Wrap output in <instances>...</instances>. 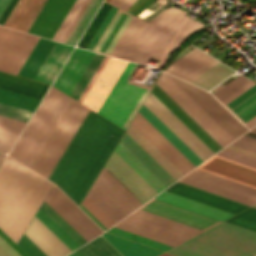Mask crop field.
Wrapping results in <instances>:
<instances>
[{"instance_id": "8a807250", "label": "crop field", "mask_w": 256, "mask_h": 256, "mask_svg": "<svg viewBox=\"0 0 256 256\" xmlns=\"http://www.w3.org/2000/svg\"><path fill=\"white\" fill-rule=\"evenodd\" d=\"M123 132L89 110L47 179L79 205Z\"/></svg>"}, {"instance_id": "ac0d7876", "label": "crop field", "mask_w": 256, "mask_h": 256, "mask_svg": "<svg viewBox=\"0 0 256 256\" xmlns=\"http://www.w3.org/2000/svg\"><path fill=\"white\" fill-rule=\"evenodd\" d=\"M41 176L11 157L0 168V228L6 233ZM53 183L42 178L27 199L7 231L15 242L19 240Z\"/></svg>"}, {"instance_id": "34b2d1b8", "label": "crop field", "mask_w": 256, "mask_h": 256, "mask_svg": "<svg viewBox=\"0 0 256 256\" xmlns=\"http://www.w3.org/2000/svg\"><path fill=\"white\" fill-rule=\"evenodd\" d=\"M256 251V233L222 222L167 251L177 256H243Z\"/></svg>"}, {"instance_id": "412701ff", "label": "crop field", "mask_w": 256, "mask_h": 256, "mask_svg": "<svg viewBox=\"0 0 256 256\" xmlns=\"http://www.w3.org/2000/svg\"><path fill=\"white\" fill-rule=\"evenodd\" d=\"M52 87L9 154L28 167L71 99Z\"/></svg>"}, {"instance_id": "f4fd0767", "label": "crop field", "mask_w": 256, "mask_h": 256, "mask_svg": "<svg viewBox=\"0 0 256 256\" xmlns=\"http://www.w3.org/2000/svg\"><path fill=\"white\" fill-rule=\"evenodd\" d=\"M136 67L137 64L128 62L97 112L124 130L151 89L128 81Z\"/></svg>"}, {"instance_id": "dd49c442", "label": "crop field", "mask_w": 256, "mask_h": 256, "mask_svg": "<svg viewBox=\"0 0 256 256\" xmlns=\"http://www.w3.org/2000/svg\"><path fill=\"white\" fill-rule=\"evenodd\" d=\"M88 110L71 99L29 168L47 178Z\"/></svg>"}, {"instance_id": "e52e79f7", "label": "crop field", "mask_w": 256, "mask_h": 256, "mask_svg": "<svg viewBox=\"0 0 256 256\" xmlns=\"http://www.w3.org/2000/svg\"><path fill=\"white\" fill-rule=\"evenodd\" d=\"M87 196L115 223L142 205L104 167Z\"/></svg>"}, {"instance_id": "d8731c3e", "label": "crop field", "mask_w": 256, "mask_h": 256, "mask_svg": "<svg viewBox=\"0 0 256 256\" xmlns=\"http://www.w3.org/2000/svg\"><path fill=\"white\" fill-rule=\"evenodd\" d=\"M179 181L248 205L256 203V188L198 168Z\"/></svg>"}, {"instance_id": "5a996713", "label": "crop field", "mask_w": 256, "mask_h": 256, "mask_svg": "<svg viewBox=\"0 0 256 256\" xmlns=\"http://www.w3.org/2000/svg\"><path fill=\"white\" fill-rule=\"evenodd\" d=\"M156 84L222 147L234 140L164 72Z\"/></svg>"}, {"instance_id": "3316defc", "label": "crop field", "mask_w": 256, "mask_h": 256, "mask_svg": "<svg viewBox=\"0 0 256 256\" xmlns=\"http://www.w3.org/2000/svg\"><path fill=\"white\" fill-rule=\"evenodd\" d=\"M167 74V73H166ZM234 139L247 129L209 92L167 74Z\"/></svg>"}, {"instance_id": "28ad6ade", "label": "crop field", "mask_w": 256, "mask_h": 256, "mask_svg": "<svg viewBox=\"0 0 256 256\" xmlns=\"http://www.w3.org/2000/svg\"><path fill=\"white\" fill-rule=\"evenodd\" d=\"M44 201L87 241L103 233V231L55 185H53Z\"/></svg>"}, {"instance_id": "d1516ede", "label": "crop field", "mask_w": 256, "mask_h": 256, "mask_svg": "<svg viewBox=\"0 0 256 256\" xmlns=\"http://www.w3.org/2000/svg\"><path fill=\"white\" fill-rule=\"evenodd\" d=\"M158 117L186 146L202 161L214 154L198 139L168 108H166L151 92L143 103Z\"/></svg>"}, {"instance_id": "22f410ed", "label": "crop field", "mask_w": 256, "mask_h": 256, "mask_svg": "<svg viewBox=\"0 0 256 256\" xmlns=\"http://www.w3.org/2000/svg\"><path fill=\"white\" fill-rule=\"evenodd\" d=\"M122 221L181 242L202 231L140 209L136 210Z\"/></svg>"}, {"instance_id": "cbeb9de0", "label": "crop field", "mask_w": 256, "mask_h": 256, "mask_svg": "<svg viewBox=\"0 0 256 256\" xmlns=\"http://www.w3.org/2000/svg\"><path fill=\"white\" fill-rule=\"evenodd\" d=\"M126 64L127 61L109 57L81 103L97 112Z\"/></svg>"}, {"instance_id": "5142ce71", "label": "crop field", "mask_w": 256, "mask_h": 256, "mask_svg": "<svg viewBox=\"0 0 256 256\" xmlns=\"http://www.w3.org/2000/svg\"><path fill=\"white\" fill-rule=\"evenodd\" d=\"M75 0H47L28 33L52 39Z\"/></svg>"}, {"instance_id": "d9b57169", "label": "crop field", "mask_w": 256, "mask_h": 256, "mask_svg": "<svg viewBox=\"0 0 256 256\" xmlns=\"http://www.w3.org/2000/svg\"><path fill=\"white\" fill-rule=\"evenodd\" d=\"M131 124L138 131H140L156 148H158L184 174L187 173L189 170H191L193 167H195L138 112L135 115L134 119L132 120Z\"/></svg>"}, {"instance_id": "733c2abd", "label": "crop field", "mask_w": 256, "mask_h": 256, "mask_svg": "<svg viewBox=\"0 0 256 256\" xmlns=\"http://www.w3.org/2000/svg\"><path fill=\"white\" fill-rule=\"evenodd\" d=\"M104 167L143 203L157 194L114 151Z\"/></svg>"}, {"instance_id": "4a817a6b", "label": "crop field", "mask_w": 256, "mask_h": 256, "mask_svg": "<svg viewBox=\"0 0 256 256\" xmlns=\"http://www.w3.org/2000/svg\"><path fill=\"white\" fill-rule=\"evenodd\" d=\"M140 209L170 218L172 220L205 230L220 221L197 214L195 212L180 208L178 206L163 202L158 199H151Z\"/></svg>"}, {"instance_id": "bc2a9ffb", "label": "crop field", "mask_w": 256, "mask_h": 256, "mask_svg": "<svg viewBox=\"0 0 256 256\" xmlns=\"http://www.w3.org/2000/svg\"><path fill=\"white\" fill-rule=\"evenodd\" d=\"M93 55L94 52L76 47L53 86L70 95Z\"/></svg>"}, {"instance_id": "214f88e0", "label": "crop field", "mask_w": 256, "mask_h": 256, "mask_svg": "<svg viewBox=\"0 0 256 256\" xmlns=\"http://www.w3.org/2000/svg\"><path fill=\"white\" fill-rule=\"evenodd\" d=\"M198 168L256 187V169L216 155L205 161Z\"/></svg>"}, {"instance_id": "92a150f3", "label": "crop field", "mask_w": 256, "mask_h": 256, "mask_svg": "<svg viewBox=\"0 0 256 256\" xmlns=\"http://www.w3.org/2000/svg\"><path fill=\"white\" fill-rule=\"evenodd\" d=\"M24 234L47 256H64L71 252L35 216Z\"/></svg>"}, {"instance_id": "dafd665d", "label": "crop field", "mask_w": 256, "mask_h": 256, "mask_svg": "<svg viewBox=\"0 0 256 256\" xmlns=\"http://www.w3.org/2000/svg\"><path fill=\"white\" fill-rule=\"evenodd\" d=\"M166 190L209 204L211 206L226 210L234 214L247 208V206H244L245 204L241 205L242 203L239 204V203L224 199L222 197L204 192L202 190L187 186L179 182L173 183Z\"/></svg>"}, {"instance_id": "00972430", "label": "crop field", "mask_w": 256, "mask_h": 256, "mask_svg": "<svg viewBox=\"0 0 256 256\" xmlns=\"http://www.w3.org/2000/svg\"><path fill=\"white\" fill-rule=\"evenodd\" d=\"M167 106L197 137H199L214 153L222 147L210 137L190 116H188L168 95L156 84L151 91Z\"/></svg>"}, {"instance_id": "a9b5d70f", "label": "crop field", "mask_w": 256, "mask_h": 256, "mask_svg": "<svg viewBox=\"0 0 256 256\" xmlns=\"http://www.w3.org/2000/svg\"><path fill=\"white\" fill-rule=\"evenodd\" d=\"M131 18L132 15L118 9L104 34L95 46L94 51L110 55Z\"/></svg>"}, {"instance_id": "4177f3b9", "label": "crop field", "mask_w": 256, "mask_h": 256, "mask_svg": "<svg viewBox=\"0 0 256 256\" xmlns=\"http://www.w3.org/2000/svg\"><path fill=\"white\" fill-rule=\"evenodd\" d=\"M155 198H158L163 201L178 205L180 207L195 211L197 213L212 217L220 221H223L234 215L226 211L211 207L209 205L191 200L189 198L174 194L166 190L162 191Z\"/></svg>"}, {"instance_id": "730fd06b", "label": "crop field", "mask_w": 256, "mask_h": 256, "mask_svg": "<svg viewBox=\"0 0 256 256\" xmlns=\"http://www.w3.org/2000/svg\"><path fill=\"white\" fill-rule=\"evenodd\" d=\"M131 152L153 175H155L166 187L175 180L162 169L139 145H137L126 133L119 141Z\"/></svg>"}, {"instance_id": "eef30255", "label": "crop field", "mask_w": 256, "mask_h": 256, "mask_svg": "<svg viewBox=\"0 0 256 256\" xmlns=\"http://www.w3.org/2000/svg\"><path fill=\"white\" fill-rule=\"evenodd\" d=\"M71 49L72 46L56 42L35 79L51 84Z\"/></svg>"}, {"instance_id": "ae1a2a85", "label": "crop field", "mask_w": 256, "mask_h": 256, "mask_svg": "<svg viewBox=\"0 0 256 256\" xmlns=\"http://www.w3.org/2000/svg\"><path fill=\"white\" fill-rule=\"evenodd\" d=\"M243 124L256 116V84L224 105Z\"/></svg>"}, {"instance_id": "d3111659", "label": "crop field", "mask_w": 256, "mask_h": 256, "mask_svg": "<svg viewBox=\"0 0 256 256\" xmlns=\"http://www.w3.org/2000/svg\"><path fill=\"white\" fill-rule=\"evenodd\" d=\"M0 88L42 99L48 85L0 72Z\"/></svg>"}, {"instance_id": "750c4746", "label": "crop field", "mask_w": 256, "mask_h": 256, "mask_svg": "<svg viewBox=\"0 0 256 256\" xmlns=\"http://www.w3.org/2000/svg\"><path fill=\"white\" fill-rule=\"evenodd\" d=\"M54 44L55 41L40 37L32 52L18 72V75L34 79Z\"/></svg>"}, {"instance_id": "bd1437ed", "label": "crop field", "mask_w": 256, "mask_h": 256, "mask_svg": "<svg viewBox=\"0 0 256 256\" xmlns=\"http://www.w3.org/2000/svg\"><path fill=\"white\" fill-rule=\"evenodd\" d=\"M165 138H167L185 157L195 166L202 162L189 148H187L159 119H157L143 104L138 111Z\"/></svg>"}, {"instance_id": "1d83c4d3", "label": "crop field", "mask_w": 256, "mask_h": 256, "mask_svg": "<svg viewBox=\"0 0 256 256\" xmlns=\"http://www.w3.org/2000/svg\"><path fill=\"white\" fill-rule=\"evenodd\" d=\"M102 236L124 256H156L162 252L107 233Z\"/></svg>"}, {"instance_id": "120bbe31", "label": "crop field", "mask_w": 256, "mask_h": 256, "mask_svg": "<svg viewBox=\"0 0 256 256\" xmlns=\"http://www.w3.org/2000/svg\"><path fill=\"white\" fill-rule=\"evenodd\" d=\"M134 171H136L157 193L166 188L120 143L114 150Z\"/></svg>"}, {"instance_id": "d32e631a", "label": "crop field", "mask_w": 256, "mask_h": 256, "mask_svg": "<svg viewBox=\"0 0 256 256\" xmlns=\"http://www.w3.org/2000/svg\"><path fill=\"white\" fill-rule=\"evenodd\" d=\"M138 143H140L163 167L176 179L184 175L159 150H157L141 133L131 124L126 130Z\"/></svg>"}, {"instance_id": "5866460e", "label": "crop field", "mask_w": 256, "mask_h": 256, "mask_svg": "<svg viewBox=\"0 0 256 256\" xmlns=\"http://www.w3.org/2000/svg\"><path fill=\"white\" fill-rule=\"evenodd\" d=\"M233 72H235V70L219 62L205 73L197 77L191 83L209 90L223 79L231 75Z\"/></svg>"}, {"instance_id": "028f5c9d", "label": "crop field", "mask_w": 256, "mask_h": 256, "mask_svg": "<svg viewBox=\"0 0 256 256\" xmlns=\"http://www.w3.org/2000/svg\"><path fill=\"white\" fill-rule=\"evenodd\" d=\"M101 2L102 0H90L82 15L80 16L72 31L68 35L67 39L65 40V43H69L72 45H75L77 43Z\"/></svg>"}, {"instance_id": "e1f06a70", "label": "crop field", "mask_w": 256, "mask_h": 256, "mask_svg": "<svg viewBox=\"0 0 256 256\" xmlns=\"http://www.w3.org/2000/svg\"><path fill=\"white\" fill-rule=\"evenodd\" d=\"M40 99L0 89V103L34 112Z\"/></svg>"}, {"instance_id": "0bd39190", "label": "crop field", "mask_w": 256, "mask_h": 256, "mask_svg": "<svg viewBox=\"0 0 256 256\" xmlns=\"http://www.w3.org/2000/svg\"><path fill=\"white\" fill-rule=\"evenodd\" d=\"M79 249L86 256H122L101 235Z\"/></svg>"}, {"instance_id": "b80d0937", "label": "crop field", "mask_w": 256, "mask_h": 256, "mask_svg": "<svg viewBox=\"0 0 256 256\" xmlns=\"http://www.w3.org/2000/svg\"><path fill=\"white\" fill-rule=\"evenodd\" d=\"M110 8L111 5L103 2L102 6L98 10L97 14L95 15L94 19L92 20L91 24L87 28L86 32L84 33L83 37L81 38L77 46L86 48L87 44L95 34L96 30L100 26L101 22L105 18Z\"/></svg>"}, {"instance_id": "c035e120", "label": "crop field", "mask_w": 256, "mask_h": 256, "mask_svg": "<svg viewBox=\"0 0 256 256\" xmlns=\"http://www.w3.org/2000/svg\"><path fill=\"white\" fill-rule=\"evenodd\" d=\"M72 251L79 247L61 228H59L40 208L35 215Z\"/></svg>"}, {"instance_id": "c21b1889", "label": "crop field", "mask_w": 256, "mask_h": 256, "mask_svg": "<svg viewBox=\"0 0 256 256\" xmlns=\"http://www.w3.org/2000/svg\"><path fill=\"white\" fill-rule=\"evenodd\" d=\"M49 217H51L69 236H71L80 246L87 242L79 235L67 222H65L52 208L44 201L40 207Z\"/></svg>"}, {"instance_id": "03da06ac", "label": "crop field", "mask_w": 256, "mask_h": 256, "mask_svg": "<svg viewBox=\"0 0 256 256\" xmlns=\"http://www.w3.org/2000/svg\"><path fill=\"white\" fill-rule=\"evenodd\" d=\"M103 57H104L103 54L95 53L94 57L92 58L91 62L89 63L88 67L86 68L85 72L81 76L80 80L78 81L77 85L75 86L70 96H72L74 99L77 100L80 93L84 89L85 85L89 81L90 77L96 70L97 66L99 65Z\"/></svg>"}, {"instance_id": "b54c1fbb", "label": "crop field", "mask_w": 256, "mask_h": 256, "mask_svg": "<svg viewBox=\"0 0 256 256\" xmlns=\"http://www.w3.org/2000/svg\"><path fill=\"white\" fill-rule=\"evenodd\" d=\"M114 227L129 231V232L141 235V236H145V237H148V238H151V239H154V240H157V241H160V242L172 245V246H175V245L181 243V242L175 241L173 239L161 236L159 234L144 230L142 228L130 225V224L122 222V221L118 222L116 225H114Z\"/></svg>"}, {"instance_id": "5d738f31", "label": "crop field", "mask_w": 256, "mask_h": 256, "mask_svg": "<svg viewBox=\"0 0 256 256\" xmlns=\"http://www.w3.org/2000/svg\"><path fill=\"white\" fill-rule=\"evenodd\" d=\"M225 222L256 232V208L251 207L250 209L226 220Z\"/></svg>"}, {"instance_id": "d23c7cc5", "label": "crop field", "mask_w": 256, "mask_h": 256, "mask_svg": "<svg viewBox=\"0 0 256 256\" xmlns=\"http://www.w3.org/2000/svg\"><path fill=\"white\" fill-rule=\"evenodd\" d=\"M108 232L114 233L116 235L134 240L136 242H139V243L151 246V247H154V248L162 250V251H166L172 247V246H169V245H166V244H163V243H160V242H157V241L145 238V237H141V236H138V235L114 228V227L110 228L108 230Z\"/></svg>"}, {"instance_id": "425ffa30", "label": "crop field", "mask_w": 256, "mask_h": 256, "mask_svg": "<svg viewBox=\"0 0 256 256\" xmlns=\"http://www.w3.org/2000/svg\"><path fill=\"white\" fill-rule=\"evenodd\" d=\"M85 1L86 0H76L71 10L67 14L66 18L64 19L63 23L59 27L58 31L54 35L53 37L54 40L61 41V39L63 38L64 34L68 30L69 26L73 22L74 18L78 14L79 10L81 9Z\"/></svg>"}, {"instance_id": "25e5ab78", "label": "crop field", "mask_w": 256, "mask_h": 256, "mask_svg": "<svg viewBox=\"0 0 256 256\" xmlns=\"http://www.w3.org/2000/svg\"><path fill=\"white\" fill-rule=\"evenodd\" d=\"M249 79H247L244 76H239L232 80L230 83H228L226 86L221 88L219 91H217L215 94H213L220 102L223 101L225 98L230 96L232 93L240 89L242 86L247 84Z\"/></svg>"}, {"instance_id": "73cf0c24", "label": "crop field", "mask_w": 256, "mask_h": 256, "mask_svg": "<svg viewBox=\"0 0 256 256\" xmlns=\"http://www.w3.org/2000/svg\"><path fill=\"white\" fill-rule=\"evenodd\" d=\"M216 155L256 168V158L226 148L219 151Z\"/></svg>"}, {"instance_id": "89e229c0", "label": "crop field", "mask_w": 256, "mask_h": 256, "mask_svg": "<svg viewBox=\"0 0 256 256\" xmlns=\"http://www.w3.org/2000/svg\"><path fill=\"white\" fill-rule=\"evenodd\" d=\"M93 216H95L107 229L115 223L107 217L94 203L86 196L81 203Z\"/></svg>"}, {"instance_id": "1f2cbd36", "label": "crop field", "mask_w": 256, "mask_h": 256, "mask_svg": "<svg viewBox=\"0 0 256 256\" xmlns=\"http://www.w3.org/2000/svg\"><path fill=\"white\" fill-rule=\"evenodd\" d=\"M32 112L0 104V115L27 122Z\"/></svg>"}, {"instance_id": "dbb93151", "label": "crop field", "mask_w": 256, "mask_h": 256, "mask_svg": "<svg viewBox=\"0 0 256 256\" xmlns=\"http://www.w3.org/2000/svg\"><path fill=\"white\" fill-rule=\"evenodd\" d=\"M117 8L113 7L111 8V10L109 11L108 15L106 16L105 20L103 21V23L101 24L100 28L98 29L97 33L95 34L94 38L91 39L90 43L87 46V49H91L93 50L94 46L96 45V43L98 42L99 38L101 37V35L103 34L104 30L106 29L107 25L109 24V22L111 21L112 17L114 16V14L116 13Z\"/></svg>"}, {"instance_id": "0fb4a251", "label": "crop field", "mask_w": 256, "mask_h": 256, "mask_svg": "<svg viewBox=\"0 0 256 256\" xmlns=\"http://www.w3.org/2000/svg\"><path fill=\"white\" fill-rule=\"evenodd\" d=\"M18 245L29 255V256H46L40 249H38L24 234L20 239Z\"/></svg>"}, {"instance_id": "1d79db26", "label": "crop field", "mask_w": 256, "mask_h": 256, "mask_svg": "<svg viewBox=\"0 0 256 256\" xmlns=\"http://www.w3.org/2000/svg\"><path fill=\"white\" fill-rule=\"evenodd\" d=\"M17 135L0 131V152L7 154Z\"/></svg>"}, {"instance_id": "9d1cf04e", "label": "crop field", "mask_w": 256, "mask_h": 256, "mask_svg": "<svg viewBox=\"0 0 256 256\" xmlns=\"http://www.w3.org/2000/svg\"><path fill=\"white\" fill-rule=\"evenodd\" d=\"M231 144L256 152V139H253L244 135L237 138Z\"/></svg>"}, {"instance_id": "447ae74e", "label": "crop field", "mask_w": 256, "mask_h": 256, "mask_svg": "<svg viewBox=\"0 0 256 256\" xmlns=\"http://www.w3.org/2000/svg\"><path fill=\"white\" fill-rule=\"evenodd\" d=\"M0 256H19V255L0 237Z\"/></svg>"}, {"instance_id": "0765c3eb", "label": "crop field", "mask_w": 256, "mask_h": 256, "mask_svg": "<svg viewBox=\"0 0 256 256\" xmlns=\"http://www.w3.org/2000/svg\"><path fill=\"white\" fill-rule=\"evenodd\" d=\"M108 59V56L105 55V57L103 58L102 62L100 63V65L98 66L97 70L95 71V73L93 74L92 78L90 79V81L88 82V84L86 85L85 89L83 90V92L81 93L80 97L78 98V101L81 102V100L83 99L84 95L86 94V92L88 91L89 87L91 86V84L93 83L94 79L96 78V76L98 75V73L100 72L101 68L103 67V65L105 64L106 60Z\"/></svg>"}, {"instance_id": "db79e9e6", "label": "crop field", "mask_w": 256, "mask_h": 256, "mask_svg": "<svg viewBox=\"0 0 256 256\" xmlns=\"http://www.w3.org/2000/svg\"><path fill=\"white\" fill-rule=\"evenodd\" d=\"M215 59V58H214ZM211 60L210 62H208L206 65H204L203 67H201L200 69H198L196 72H194L193 74H191L190 76H188L185 80L187 81H192L194 78H196L197 76H199L200 74H202L204 71H206L207 69H209L210 67H212L214 64H216L218 61L216 60Z\"/></svg>"}, {"instance_id": "7b73153f", "label": "crop field", "mask_w": 256, "mask_h": 256, "mask_svg": "<svg viewBox=\"0 0 256 256\" xmlns=\"http://www.w3.org/2000/svg\"><path fill=\"white\" fill-rule=\"evenodd\" d=\"M0 123L14 126V127L21 128V129H23V127L25 125V122L13 120V119L1 117V116H0Z\"/></svg>"}, {"instance_id": "78b8030e", "label": "crop field", "mask_w": 256, "mask_h": 256, "mask_svg": "<svg viewBox=\"0 0 256 256\" xmlns=\"http://www.w3.org/2000/svg\"><path fill=\"white\" fill-rule=\"evenodd\" d=\"M0 236L20 255L27 256L15 243H13L1 230Z\"/></svg>"}, {"instance_id": "0f1d7ab4", "label": "crop field", "mask_w": 256, "mask_h": 256, "mask_svg": "<svg viewBox=\"0 0 256 256\" xmlns=\"http://www.w3.org/2000/svg\"><path fill=\"white\" fill-rule=\"evenodd\" d=\"M18 0H11L9 5L7 6L6 10L4 11L3 15L0 18V25H3V23L5 22L6 18L8 17V15L10 14V12L12 11L13 7L15 6V4L17 3Z\"/></svg>"}, {"instance_id": "e1d0b9f6", "label": "crop field", "mask_w": 256, "mask_h": 256, "mask_svg": "<svg viewBox=\"0 0 256 256\" xmlns=\"http://www.w3.org/2000/svg\"><path fill=\"white\" fill-rule=\"evenodd\" d=\"M255 82L251 81L249 82L247 85H245L244 87H242L240 90H238L237 92H235L234 94H232L230 97H228L227 99H225L223 102H221L223 105L226 104L227 102H229L231 99H233L234 97H236L237 95H239L241 92H243L244 90H246L247 88H249L251 85H253Z\"/></svg>"}, {"instance_id": "ae633e8c", "label": "crop field", "mask_w": 256, "mask_h": 256, "mask_svg": "<svg viewBox=\"0 0 256 256\" xmlns=\"http://www.w3.org/2000/svg\"><path fill=\"white\" fill-rule=\"evenodd\" d=\"M226 148H229V149H232V150H235V151H238V152H241V153H244V154L256 157V153L248 151V150H245L243 148H240V147H237V146H234V145H231V144L226 146Z\"/></svg>"}, {"instance_id": "d14b1444", "label": "crop field", "mask_w": 256, "mask_h": 256, "mask_svg": "<svg viewBox=\"0 0 256 256\" xmlns=\"http://www.w3.org/2000/svg\"><path fill=\"white\" fill-rule=\"evenodd\" d=\"M0 130L10 132L13 134H17V135H19V133L21 132V129H17V128L10 127V126L3 125V124H0Z\"/></svg>"}, {"instance_id": "c39391a2", "label": "crop field", "mask_w": 256, "mask_h": 256, "mask_svg": "<svg viewBox=\"0 0 256 256\" xmlns=\"http://www.w3.org/2000/svg\"><path fill=\"white\" fill-rule=\"evenodd\" d=\"M89 2V0H87L84 4V6L82 7V9L80 10L79 14L77 15V17L75 18L74 22L72 23V25L70 26L69 30L67 31V33L65 34L64 38L62 39V42H64V40L66 39L67 35L69 34V32L71 31L72 27L74 26V24L76 23L77 19L79 18V16L81 15L82 11L84 10V8L86 7L87 3Z\"/></svg>"}, {"instance_id": "ade564c9", "label": "crop field", "mask_w": 256, "mask_h": 256, "mask_svg": "<svg viewBox=\"0 0 256 256\" xmlns=\"http://www.w3.org/2000/svg\"><path fill=\"white\" fill-rule=\"evenodd\" d=\"M135 0H122L118 8L126 10Z\"/></svg>"}, {"instance_id": "c5b07064", "label": "crop field", "mask_w": 256, "mask_h": 256, "mask_svg": "<svg viewBox=\"0 0 256 256\" xmlns=\"http://www.w3.org/2000/svg\"><path fill=\"white\" fill-rule=\"evenodd\" d=\"M80 208L90 217L92 218L103 230H107L95 217H93L82 205Z\"/></svg>"}, {"instance_id": "c3a83c6f", "label": "crop field", "mask_w": 256, "mask_h": 256, "mask_svg": "<svg viewBox=\"0 0 256 256\" xmlns=\"http://www.w3.org/2000/svg\"><path fill=\"white\" fill-rule=\"evenodd\" d=\"M66 256H85L79 249L69 253L68 255Z\"/></svg>"}, {"instance_id": "fb207236", "label": "crop field", "mask_w": 256, "mask_h": 256, "mask_svg": "<svg viewBox=\"0 0 256 256\" xmlns=\"http://www.w3.org/2000/svg\"><path fill=\"white\" fill-rule=\"evenodd\" d=\"M256 124V117H254L253 119H251L250 121H248L246 124V126H248L249 128L253 127Z\"/></svg>"}, {"instance_id": "7312dd0a", "label": "crop field", "mask_w": 256, "mask_h": 256, "mask_svg": "<svg viewBox=\"0 0 256 256\" xmlns=\"http://www.w3.org/2000/svg\"><path fill=\"white\" fill-rule=\"evenodd\" d=\"M9 0H0V14Z\"/></svg>"}, {"instance_id": "180be81f", "label": "crop field", "mask_w": 256, "mask_h": 256, "mask_svg": "<svg viewBox=\"0 0 256 256\" xmlns=\"http://www.w3.org/2000/svg\"><path fill=\"white\" fill-rule=\"evenodd\" d=\"M244 135H247V136H250V137L256 138V133L251 132V131L246 132Z\"/></svg>"}, {"instance_id": "f0312440", "label": "crop field", "mask_w": 256, "mask_h": 256, "mask_svg": "<svg viewBox=\"0 0 256 256\" xmlns=\"http://www.w3.org/2000/svg\"><path fill=\"white\" fill-rule=\"evenodd\" d=\"M121 0H112L111 4L115 5L118 7V5L120 4Z\"/></svg>"}, {"instance_id": "1f1604b0", "label": "crop field", "mask_w": 256, "mask_h": 256, "mask_svg": "<svg viewBox=\"0 0 256 256\" xmlns=\"http://www.w3.org/2000/svg\"><path fill=\"white\" fill-rule=\"evenodd\" d=\"M5 156H6V155H4V154H0V164H1L2 161L4 160Z\"/></svg>"}, {"instance_id": "819c52e7", "label": "crop field", "mask_w": 256, "mask_h": 256, "mask_svg": "<svg viewBox=\"0 0 256 256\" xmlns=\"http://www.w3.org/2000/svg\"><path fill=\"white\" fill-rule=\"evenodd\" d=\"M158 256H173V255H170V254H167V253H162V254H160Z\"/></svg>"}, {"instance_id": "c821d689", "label": "crop field", "mask_w": 256, "mask_h": 256, "mask_svg": "<svg viewBox=\"0 0 256 256\" xmlns=\"http://www.w3.org/2000/svg\"><path fill=\"white\" fill-rule=\"evenodd\" d=\"M248 256H256V253L250 254V255H248Z\"/></svg>"}, {"instance_id": "a0ae1fb6", "label": "crop field", "mask_w": 256, "mask_h": 256, "mask_svg": "<svg viewBox=\"0 0 256 256\" xmlns=\"http://www.w3.org/2000/svg\"><path fill=\"white\" fill-rule=\"evenodd\" d=\"M251 130L255 131L256 130V126L253 129H251Z\"/></svg>"}, {"instance_id": "8de936bc", "label": "crop field", "mask_w": 256, "mask_h": 256, "mask_svg": "<svg viewBox=\"0 0 256 256\" xmlns=\"http://www.w3.org/2000/svg\"><path fill=\"white\" fill-rule=\"evenodd\" d=\"M106 2L110 3L111 0H105Z\"/></svg>"}, {"instance_id": "920284fa", "label": "crop field", "mask_w": 256, "mask_h": 256, "mask_svg": "<svg viewBox=\"0 0 256 256\" xmlns=\"http://www.w3.org/2000/svg\"><path fill=\"white\" fill-rule=\"evenodd\" d=\"M254 207H256V204L255 205H253Z\"/></svg>"}]
</instances>
